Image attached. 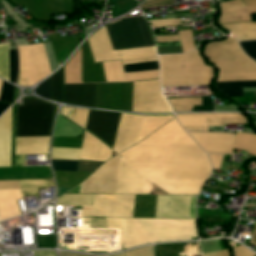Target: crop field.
<instances>
[{
  "mask_svg": "<svg viewBox=\"0 0 256 256\" xmlns=\"http://www.w3.org/2000/svg\"><path fill=\"white\" fill-rule=\"evenodd\" d=\"M119 155L169 194H198L204 181L163 180L164 167L211 168L206 154L176 119Z\"/></svg>",
  "mask_w": 256,
  "mask_h": 256,
  "instance_id": "1",
  "label": "crop field"
},
{
  "mask_svg": "<svg viewBox=\"0 0 256 256\" xmlns=\"http://www.w3.org/2000/svg\"><path fill=\"white\" fill-rule=\"evenodd\" d=\"M133 82L105 83L101 63H94L87 40L52 75L51 101L131 112Z\"/></svg>",
  "mask_w": 256,
  "mask_h": 256,
  "instance_id": "2",
  "label": "crop field"
},
{
  "mask_svg": "<svg viewBox=\"0 0 256 256\" xmlns=\"http://www.w3.org/2000/svg\"><path fill=\"white\" fill-rule=\"evenodd\" d=\"M121 223L124 249L197 237L195 220L121 218Z\"/></svg>",
  "mask_w": 256,
  "mask_h": 256,
  "instance_id": "3",
  "label": "crop field"
},
{
  "mask_svg": "<svg viewBox=\"0 0 256 256\" xmlns=\"http://www.w3.org/2000/svg\"><path fill=\"white\" fill-rule=\"evenodd\" d=\"M161 86L210 85L214 68L208 66L200 56V46L178 55L159 56Z\"/></svg>",
  "mask_w": 256,
  "mask_h": 256,
  "instance_id": "4",
  "label": "crop field"
},
{
  "mask_svg": "<svg viewBox=\"0 0 256 256\" xmlns=\"http://www.w3.org/2000/svg\"><path fill=\"white\" fill-rule=\"evenodd\" d=\"M57 105L24 96L15 108V137L50 136Z\"/></svg>",
  "mask_w": 256,
  "mask_h": 256,
  "instance_id": "5",
  "label": "crop field"
},
{
  "mask_svg": "<svg viewBox=\"0 0 256 256\" xmlns=\"http://www.w3.org/2000/svg\"><path fill=\"white\" fill-rule=\"evenodd\" d=\"M105 26L113 50L155 46L151 28L142 16L117 19Z\"/></svg>",
  "mask_w": 256,
  "mask_h": 256,
  "instance_id": "6",
  "label": "crop field"
},
{
  "mask_svg": "<svg viewBox=\"0 0 256 256\" xmlns=\"http://www.w3.org/2000/svg\"><path fill=\"white\" fill-rule=\"evenodd\" d=\"M204 48L208 63L216 65L219 73L256 72V63L242 52L233 37L208 43Z\"/></svg>",
  "mask_w": 256,
  "mask_h": 256,
  "instance_id": "7",
  "label": "crop field"
},
{
  "mask_svg": "<svg viewBox=\"0 0 256 256\" xmlns=\"http://www.w3.org/2000/svg\"><path fill=\"white\" fill-rule=\"evenodd\" d=\"M132 111L171 112L160 92L158 80L134 83Z\"/></svg>",
  "mask_w": 256,
  "mask_h": 256,
  "instance_id": "8",
  "label": "crop field"
},
{
  "mask_svg": "<svg viewBox=\"0 0 256 256\" xmlns=\"http://www.w3.org/2000/svg\"><path fill=\"white\" fill-rule=\"evenodd\" d=\"M95 62L122 59L123 64L140 63L157 60L155 52L119 56L118 51H112L105 27H102L88 38Z\"/></svg>",
  "mask_w": 256,
  "mask_h": 256,
  "instance_id": "9",
  "label": "crop field"
},
{
  "mask_svg": "<svg viewBox=\"0 0 256 256\" xmlns=\"http://www.w3.org/2000/svg\"><path fill=\"white\" fill-rule=\"evenodd\" d=\"M17 47L19 70L25 69L31 86L51 73L42 43Z\"/></svg>",
  "mask_w": 256,
  "mask_h": 256,
  "instance_id": "10",
  "label": "crop field"
},
{
  "mask_svg": "<svg viewBox=\"0 0 256 256\" xmlns=\"http://www.w3.org/2000/svg\"><path fill=\"white\" fill-rule=\"evenodd\" d=\"M120 156H115L81 183L79 193H115Z\"/></svg>",
  "mask_w": 256,
  "mask_h": 256,
  "instance_id": "11",
  "label": "crop field"
},
{
  "mask_svg": "<svg viewBox=\"0 0 256 256\" xmlns=\"http://www.w3.org/2000/svg\"><path fill=\"white\" fill-rule=\"evenodd\" d=\"M121 113L90 110L85 130L113 147Z\"/></svg>",
  "mask_w": 256,
  "mask_h": 256,
  "instance_id": "12",
  "label": "crop field"
},
{
  "mask_svg": "<svg viewBox=\"0 0 256 256\" xmlns=\"http://www.w3.org/2000/svg\"><path fill=\"white\" fill-rule=\"evenodd\" d=\"M14 4H23L26 11L36 20L50 22V15L59 13L73 14L72 0H12Z\"/></svg>",
  "mask_w": 256,
  "mask_h": 256,
  "instance_id": "13",
  "label": "crop field"
},
{
  "mask_svg": "<svg viewBox=\"0 0 256 256\" xmlns=\"http://www.w3.org/2000/svg\"><path fill=\"white\" fill-rule=\"evenodd\" d=\"M152 183L137 173L122 157L116 193L151 194Z\"/></svg>",
  "mask_w": 256,
  "mask_h": 256,
  "instance_id": "14",
  "label": "crop field"
},
{
  "mask_svg": "<svg viewBox=\"0 0 256 256\" xmlns=\"http://www.w3.org/2000/svg\"><path fill=\"white\" fill-rule=\"evenodd\" d=\"M192 196L156 195L154 217L190 218Z\"/></svg>",
  "mask_w": 256,
  "mask_h": 256,
  "instance_id": "15",
  "label": "crop field"
},
{
  "mask_svg": "<svg viewBox=\"0 0 256 256\" xmlns=\"http://www.w3.org/2000/svg\"><path fill=\"white\" fill-rule=\"evenodd\" d=\"M144 116L122 114L114 148L117 153L134 145L138 141Z\"/></svg>",
  "mask_w": 256,
  "mask_h": 256,
  "instance_id": "16",
  "label": "crop field"
},
{
  "mask_svg": "<svg viewBox=\"0 0 256 256\" xmlns=\"http://www.w3.org/2000/svg\"><path fill=\"white\" fill-rule=\"evenodd\" d=\"M106 82L138 81L158 78V70L123 74L121 61L102 63Z\"/></svg>",
  "mask_w": 256,
  "mask_h": 256,
  "instance_id": "17",
  "label": "crop field"
},
{
  "mask_svg": "<svg viewBox=\"0 0 256 256\" xmlns=\"http://www.w3.org/2000/svg\"><path fill=\"white\" fill-rule=\"evenodd\" d=\"M12 107L0 117V166H11Z\"/></svg>",
  "mask_w": 256,
  "mask_h": 256,
  "instance_id": "18",
  "label": "crop field"
},
{
  "mask_svg": "<svg viewBox=\"0 0 256 256\" xmlns=\"http://www.w3.org/2000/svg\"><path fill=\"white\" fill-rule=\"evenodd\" d=\"M99 141L89 133L85 132L79 159L99 161H107L110 159L113 151Z\"/></svg>",
  "mask_w": 256,
  "mask_h": 256,
  "instance_id": "19",
  "label": "crop field"
},
{
  "mask_svg": "<svg viewBox=\"0 0 256 256\" xmlns=\"http://www.w3.org/2000/svg\"><path fill=\"white\" fill-rule=\"evenodd\" d=\"M116 195H94L93 207L84 206L83 216L112 217Z\"/></svg>",
  "mask_w": 256,
  "mask_h": 256,
  "instance_id": "20",
  "label": "crop field"
},
{
  "mask_svg": "<svg viewBox=\"0 0 256 256\" xmlns=\"http://www.w3.org/2000/svg\"><path fill=\"white\" fill-rule=\"evenodd\" d=\"M23 198L20 190L0 191V216L7 219L21 215L16 199Z\"/></svg>",
  "mask_w": 256,
  "mask_h": 256,
  "instance_id": "21",
  "label": "crop field"
},
{
  "mask_svg": "<svg viewBox=\"0 0 256 256\" xmlns=\"http://www.w3.org/2000/svg\"><path fill=\"white\" fill-rule=\"evenodd\" d=\"M205 150V152L232 154L234 139L224 137L192 136Z\"/></svg>",
  "mask_w": 256,
  "mask_h": 256,
  "instance_id": "22",
  "label": "crop field"
},
{
  "mask_svg": "<svg viewBox=\"0 0 256 256\" xmlns=\"http://www.w3.org/2000/svg\"><path fill=\"white\" fill-rule=\"evenodd\" d=\"M49 137L16 138L15 154L48 153Z\"/></svg>",
  "mask_w": 256,
  "mask_h": 256,
  "instance_id": "23",
  "label": "crop field"
},
{
  "mask_svg": "<svg viewBox=\"0 0 256 256\" xmlns=\"http://www.w3.org/2000/svg\"><path fill=\"white\" fill-rule=\"evenodd\" d=\"M211 169L165 168L164 179L206 180Z\"/></svg>",
  "mask_w": 256,
  "mask_h": 256,
  "instance_id": "24",
  "label": "crop field"
},
{
  "mask_svg": "<svg viewBox=\"0 0 256 256\" xmlns=\"http://www.w3.org/2000/svg\"><path fill=\"white\" fill-rule=\"evenodd\" d=\"M243 2L245 3V5L256 4V0H243ZM255 12L256 5L221 12L222 16L220 22L250 21V14Z\"/></svg>",
  "mask_w": 256,
  "mask_h": 256,
  "instance_id": "25",
  "label": "crop field"
},
{
  "mask_svg": "<svg viewBox=\"0 0 256 256\" xmlns=\"http://www.w3.org/2000/svg\"><path fill=\"white\" fill-rule=\"evenodd\" d=\"M245 117L241 114H176L181 126H204L203 118Z\"/></svg>",
  "mask_w": 256,
  "mask_h": 256,
  "instance_id": "26",
  "label": "crop field"
},
{
  "mask_svg": "<svg viewBox=\"0 0 256 256\" xmlns=\"http://www.w3.org/2000/svg\"><path fill=\"white\" fill-rule=\"evenodd\" d=\"M243 87H256V81L217 82L215 85L226 97L244 96Z\"/></svg>",
  "mask_w": 256,
  "mask_h": 256,
  "instance_id": "27",
  "label": "crop field"
},
{
  "mask_svg": "<svg viewBox=\"0 0 256 256\" xmlns=\"http://www.w3.org/2000/svg\"><path fill=\"white\" fill-rule=\"evenodd\" d=\"M222 25L233 32L239 40L256 39V23H228Z\"/></svg>",
  "mask_w": 256,
  "mask_h": 256,
  "instance_id": "28",
  "label": "crop field"
},
{
  "mask_svg": "<svg viewBox=\"0 0 256 256\" xmlns=\"http://www.w3.org/2000/svg\"><path fill=\"white\" fill-rule=\"evenodd\" d=\"M173 118L174 117L172 115L145 116L143 125H142V129H141V133H140V137H139V141Z\"/></svg>",
  "mask_w": 256,
  "mask_h": 256,
  "instance_id": "29",
  "label": "crop field"
},
{
  "mask_svg": "<svg viewBox=\"0 0 256 256\" xmlns=\"http://www.w3.org/2000/svg\"><path fill=\"white\" fill-rule=\"evenodd\" d=\"M135 195H117L113 217H131Z\"/></svg>",
  "mask_w": 256,
  "mask_h": 256,
  "instance_id": "30",
  "label": "crop field"
},
{
  "mask_svg": "<svg viewBox=\"0 0 256 256\" xmlns=\"http://www.w3.org/2000/svg\"><path fill=\"white\" fill-rule=\"evenodd\" d=\"M234 149L247 151L256 155V135L237 132Z\"/></svg>",
  "mask_w": 256,
  "mask_h": 256,
  "instance_id": "31",
  "label": "crop field"
},
{
  "mask_svg": "<svg viewBox=\"0 0 256 256\" xmlns=\"http://www.w3.org/2000/svg\"><path fill=\"white\" fill-rule=\"evenodd\" d=\"M23 196H37V187L54 186L50 180H19Z\"/></svg>",
  "mask_w": 256,
  "mask_h": 256,
  "instance_id": "32",
  "label": "crop field"
},
{
  "mask_svg": "<svg viewBox=\"0 0 256 256\" xmlns=\"http://www.w3.org/2000/svg\"><path fill=\"white\" fill-rule=\"evenodd\" d=\"M93 195L64 194L57 199L56 205H92Z\"/></svg>",
  "mask_w": 256,
  "mask_h": 256,
  "instance_id": "33",
  "label": "crop field"
},
{
  "mask_svg": "<svg viewBox=\"0 0 256 256\" xmlns=\"http://www.w3.org/2000/svg\"><path fill=\"white\" fill-rule=\"evenodd\" d=\"M205 127H183L185 130L208 131V126H217L225 124L247 123L245 118L234 119H204Z\"/></svg>",
  "mask_w": 256,
  "mask_h": 256,
  "instance_id": "34",
  "label": "crop field"
},
{
  "mask_svg": "<svg viewBox=\"0 0 256 256\" xmlns=\"http://www.w3.org/2000/svg\"><path fill=\"white\" fill-rule=\"evenodd\" d=\"M174 111H190L194 105H201V98H181L168 100Z\"/></svg>",
  "mask_w": 256,
  "mask_h": 256,
  "instance_id": "35",
  "label": "crop field"
},
{
  "mask_svg": "<svg viewBox=\"0 0 256 256\" xmlns=\"http://www.w3.org/2000/svg\"><path fill=\"white\" fill-rule=\"evenodd\" d=\"M81 149L52 148L51 159L78 160Z\"/></svg>",
  "mask_w": 256,
  "mask_h": 256,
  "instance_id": "36",
  "label": "crop field"
},
{
  "mask_svg": "<svg viewBox=\"0 0 256 256\" xmlns=\"http://www.w3.org/2000/svg\"><path fill=\"white\" fill-rule=\"evenodd\" d=\"M0 77L9 81L8 43L0 45Z\"/></svg>",
  "mask_w": 256,
  "mask_h": 256,
  "instance_id": "37",
  "label": "crop field"
},
{
  "mask_svg": "<svg viewBox=\"0 0 256 256\" xmlns=\"http://www.w3.org/2000/svg\"><path fill=\"white\" fill-rule=\"evenodd\" d=\"M256 80V73L219 74L216 81Z\"/></svg>",
  "mask_w": 256,
  "mask_h": 256,
  "instance_id": "38",
  "label": "crop field"
},
{
  "mask_svg": "<svg viewBox=\"0 0 256 256\" xmlns=\"http://www.w3.org/2000/svg\"><path fill=\"white\" fill-rule=\"evenodd\" d=\"M183 53L195 48L191 30L178 31Z\"/></svg>",
  "mask_w": 256,
  "mask_h": 256,
  "instance_id": "39",
  "label": "crop field"
},
{
  "mask_svg": "<svg viewBox=\"0 0 256 256\" xmlns=\"http://www.w3.org/2000/svg\"><path fill=\"white\" fill-rule=\"evenodd\" d=\"M123 69L124 73L141 70H153L158 69V62L155 61L149 63L123 65Z\"/></svg>",
  "mask_w": 256,
  "mask_h": 256,
  "instance_id": "40",
  "label": "crop field"
},
{
  "mask_svg": "<svg viewBox=\"0 0 256 256\" xmlns=\"http://www.w3.org/2000/svg\"><path fill=\"white\" fill-rule=\"evenodd\" d=\"M53 170L76 171L78 161H58L51 160Z\"/></svg>",
  "mask_w": 256,
  "mask_h": 256,
  "instance_id": "41",
  "label": "crop field"
},
{
  "mask_svg": "<svg viewBox=\"0 0 256 256\" xmlns=\"http://www.w3.org/2000/svg\"><path fill=\"white\" fill-rule=\"evenodd\" d=\"M82 228H107L105 218H83Z\"/></svg>",
  "mask_w": 256,
  "mask_h": 256,
  "instance_id": "42",
  "label": "crop field"
},
{
  "mask_svg": "<svg viewBox=\"0 0 256 256\" xmlns=\"http://www.w3.org/2000/svg\"><path fill=\"white\" fill-rule=\"evenodd\" d=\"M119 255L120 256H154L152 246L133 249L127 252L120 253Z\"/></svg>",
  "mask_w": 256,
  "mask_h": 256,
  "instance_id": "43",
  "label": "crop field"
},
{
  "mask_svg": "<svg viewBox=\"0 0 256 256\" xmlns=\"http://www.w3.org/2000/svg\"><path fill=\"white\" fill-rule=\"evenodd\" d=\"M10 82L15 83L17 73L16 49L9 50Z\"/></svg>",
  "mask_w": 256,
  "mask_h": 256,
  "instance_id": "44",
  "label": "crop field"
},
{
  "mask_svg": "<svg viewBox=\"0 0 256 256\" xmlns=\"http://www.w3.org/2000/svg\"><path fill=\"white\" fill-rule=\"evenodd\" d=\"M13 89H14L13 86H11L5 82H2V86H1V90H0V101L12 103Z\"/></svg>",
  "mask_w": 256,
  "mask_h": 256,
  "instance_id": "45",
  "label": "crop field"
},
{
  "mask_svg": "<svg viewBox=\"0 0 256 256\" xmlns=\"http://www.w3.org/2000/svg\"><path fill=\"white\" fill-rule=\"evenodd\" d=\"M89 110L87 109H77L75 108L74 116L72 121L81 127L85 128L87 116H88Z\"/></svg>",
  "mask_w": 256,
  "mask_h": 256,
  "instance_id": "46",
  "label": "crop field"
},
{
  "mask_svg": "<svg viewBox=\"0 0 256 256\" xmlns=\"http://www.w3.org/2000/svg\"><path fill=\"white\" fill-rule=\"evenodd\" d=\"M102 163L104 162L79 160L77 171L93 172Z\"/></svg>",
  "mask_w": 256,
  "mask_h": 256,
  "instance_id": "47",
  "label": "crop field"
},
{
  "mask_svg": "<svg viewBox=\"0 0 256 256\" xmlns=\"http://www.w3.org/2000/svg\"><path fill=\"white\" fill-rule=\"evenodd\" d=\"M50 85H51V77H49L46 81L41 83L36 89L35 93L49 99L50 97Z\"/></svg>",
  "mask_w": 256,
  "mask_h": 256,
  "instance_id": "48",
  "label": "crop field"
},
{
  "mask_svg": "<svg viewBox=\"0 0 256 256\" xmlns=\"http://www.w3.org/2000/svg\"><path fill=\"white\" fill-rule=\"evenodd\" d=\"M245 53L251 58H256V41L239 42Z\"/></svg>",
  "mask_w": 256,
  "mask_h": 256,
  "instance_id": "49",
  "label": "crop field"
},
{
  "mask_svg": "<svg viewBox=\"0 0 256 256\" xmlns=\"http://www.w3.org/2000/svg\"><path fill=\"white\" fill-rule=\"evenodd\" d=\"M150 22H151L152 27L181 25L180 20L179 19H174V18L154 20V21H150Z\"/></svg>",
  "mask_w": 256,
  "mask_h": 256,
  "instance_id": "50",
  "label": "crop field"
},
{
  "mask_svg": "<svg viewBox=\"0 0 256 256\" xmlns=\"http://www.w3.org/2000/svg\"><path fill=\"white\" fill-rule=\"evenodd\" d=\"M192 111H213L212 101H209V96H202V106H194Z\"/></svg>",
  "mask_w": 256,
  "mask_h": 256,
  "instance_id": "51",
  "label": "crop field"
},
{
  "mask_svg": "<svg viewBox=\"0 0 256 256\" xmlns=\"http://www.w3.org/2000/svg\"><path fill=\"white\" fill-rule=\"evenodd\" d=\"M220 6H221V10L224 11L228 9L242 7L243 5L240 0H231V1L221 3Z\"/></svg>",
  "mask_w": 256,
  "mask_h": 256,
  "instance_id": "52",
  "label": "crop field"
},
{
  "mask_svg": "<svg viewBox=\"0 0 256 256\" xmlns=\"http://www.w3.org/2000/svg\"><path fill=\"white\" fill-rule=\"evenodd\" d=\"M158 54L182 53L181 46L157 48Z\"/></svg>",
  "mask_w": 256,
  "mask_h": 256,
  "instance_id": "53",
  "label": "crop field"
},
{
  "mask_svg": "<svg viewBox=\"0 0 256 256\" xmlns=\"http://www.w3.org/2000/svg\"><path fill=\"white\" fill-rule=\"evenodd\" d=\"M190 135L235 137V134L217 132H188Z\"/></svg>",
  "mask_w": 256,
  "mask_h": 256,
  "instance_id": "54",
  "label": "crop field"
},
{
  "mask_svg": "<svg viewBox=\"0 0 256 256\" xmlns=\"http://www.w3.org/2000/svg\"><path fill=\"white\" fill-rule=\"evenodd\" d=\"M150 51H155V47L128 49V50L119 51V53L120 55H125V54H135V53L150 52Z\"/></svg>",
  "mask_w": 256,
  "mask_h": 256,
  "instance_id": "55",
  "label": "crop field"
},
{
  "mask_svg": "<svg viewBox=\"0 0 256 256\" xmlns=\"http://www.w3.org/2000/svg\"><path fill=\"white\" fill-rule=\"evenodd\" d=\"M209 157H210V159L212 161L213 169L218 170L224 155L209 154Z\"/></svg>",
  "mask_w": 256,
  "mask_h": 256,
  "instance_id": "56",
  "label": "crop field"
},
{
  "mask_svg": "<svg viewBox=\"0 0 256 256\" xmlns=\"http://www.w3.org/2000/svg\"><path fill=\"white\" fill-rule=\"evenodd\" d=\"M19 189L17 181H0V190Z\"/></svg>",
  "mask_w": 256,
  "mask_h": 256,
  "instance_id": "57",
  "label": "crop field"
},
{
  "mask_svg": "<svg viewBox=\"0 0 256 256\" xmlns=\"http://www.w3.org/2000/svg\"><path fill=\"white\" fill-rule=\"evenodd\" d=\"M108 228H121L120 218H106Z\"/></svg>",
  "mask_w": 256,
  "mask_h": 256,
  "instance_id": "58",
  "label": "crop field"
},
{
  "mask_svg": "<svg viewBox=\"0 0 256 256\" xmlns=\"http://www.w3.org/2000/svg\"><path fill=\"white\" fill-rule=\"evenodd\" d=\"M235 256H255V254L251 253L249 250L241 247L235 250Z\"/></svg>",
  "mask_w": 256,
  "mask_h": 256,
  "instance_id": "59",
  "label": "crop field"
},
{
  "mask_svg": "<svg viewBox=\"0 0 256 256\" xmlns=\"http://www.w3.org/2000/svg\"><path fill=\"white\" fill-rule=\"evenodd\" d=\"M157 42L179 41L178 35L156 37Z\"/></svg>",
  "mask_w": 256,
  "mask_h": 256,
  "instance_id": "60",
  "label": "crop field"
},
{
  "mask_svg": "<svg viewBox=\"0 0 256 256\" xmlns=\"http://www.w3.org/2000/svg\"><path fill=\"white\" fill-rule=\"evenodd\" d=\"M74 108L61 107L60 112L67 116L69 119H72ZM62 114V115H63Z\"/></svg>",
  "mask_w": 256,
  "mask_h": 256,
  "instance_id": "61",
  "label": "crop field"
},
{
  "mask_svg": "<svg viewBox=\"0 0 256 256\" xmlns=\"http://www.w3.org/2000/svg\"><path fill=\"white\" fill-rule=\"evenodd\" d=\"M204 256H230V251L224 250V251H218V252H212V253H206L203 254Z\"/></svg>",
  "mask_w": 256,
  "mask_h": 256,
  "instance_id": "62",
  "label": "crop field"
},
{
  "mask_svg": "<svg viewBox=\"0 0 256 256\" xmlns=\"http://www.w3.org/2000/svg\"><path fill=\"white\" fill-rule=\"evenodd\" d=\"M159 1H163V0H159ZM159 1H155V2H159ZM172 1H173V0H167V1H163V2L156 3V4H152V3H155V2L146 3V4H142L141 6L148 5V4H152V5H148V6H144V7H140V8L153 7V6L161 5V4L168 3V2H172ZM169 4H174V2L168 3V4H164V5H169ZM161 6H162V5H161Z\"/></svg>",
  "mask_w": 256,
  "mask_h": 256,
  "instance_id": "63",
  "label": "crop field"
},
{
  "mask_svg": "<svg viewBox=\"0 0 256 256\" xmlns=\"http://www.w3.org/2000/svg\"><path fill=\"white\" fill-rule=\"evenodd\" d=\"M34 256H55L54 251H37L33 252Z\"/></svg>",
  "mask_w": 256,
  "mask_h": 256,
  "instance_id": "64",
  "label": "crop field"
},
{
  "mask_svg": "<svg viewBox=\"0 0 256 256\" xmlns=\"http://www.w3.org/2000/svg\"><path fill=\"white\" fill-rule=\"evenodd\" d=\"M59 256H91V255H82V254H73V253H66V252H61ZM110 256H119L117 255H110Z\"/></svg>",
  "mask_w": 256,
  "mask_h": 256,
  "instance_id": "65",
  "label": "crop field"
},
{
  "mask_svg": "<svg viewBox=\"0 0 256 256\" xmlns=\"http://www.w3.org/2000/svg\"><path fill=\"white\" fill-rule=\"evenodd\" d=\"M69 190H71V189H69V188L57 187V196H59V195L65 193V192H67V191H69ZM57 198H58V197H57Z\"/></svg>",
  "mask_w": 256,
  "mask_h": 256,
  "instance_id": "66",
  "label": "crop field"
},
{
  "mask_svg": "<svg viewBox=\"0 0 256 256\" xmlns=\"http://www.w3.org/2000/svg\"><path fill=\"white\" fill-rule=\"evenodd\" d=\"M9 106L10 104L0 103V114L4 112Z\"/></svg>",
  "mask_w": 256,
  "mask_h": 256,
  "instance_id": "67",
  "label": "crop field"
},
{
  "mask_svg": "<svg viewBox=\"0 0 256 256\" xmlns=\"http://www.w3.org/2000/svg\"><path fill=\"white\" fill-rule=\"evenodd\" d=\"M252 242H253L254 244H256V230H255V233H254Z\"/></svg>",
  "mask_w": 256,
  "mask_h": 256,
  "instance_id": "68",
  "label": "crop field"
},
{
  "mask_svg": "<svg viewBox=\"0 0 256 256\" xmlns=\"http://www.w3.org/2000/svg\"><path fill=\"white\" fill-rule=\"evenodd\" d=\"M150 1H155V0H146L145 2H150Z\"/></svg>",
  "mask_w": 256,
  "mask_h": 256,
  "instance_id": "69",
  "label": "crop field"
},
{
  "mask_svg": "<svg viewBox=\"0 0 256 256\" xmlns=\"http://www.w3.org/2000/svg\"><path fill=\"white\" fill-rule=\"evenodd\" d=\"M1 82H2V80H0V86H1Z\"/></svg>",
  "mask_w": 256,
  "mask_h": 256,
  "instance_id": "70",
  "label": "crop field"
}]
</instances>
